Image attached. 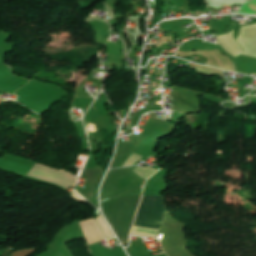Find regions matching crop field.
Segmentation results:
<instances>
[{"label":"crop field","mask_w":256,"mask_h":256,"mask_svg":"<svg viewBox=\"0 0 256 256\" xmlns=\"http://www.w3.org/2000/svg\"><path fill=\"white\" fill-rule=\"evenodd\" d=\"M140 197L141 196L119 197L116 201L110 225L122 244H128L130 227Z\"/></svg>","instance_id":"obj_1"},{"label":"crop field","mask_w":256,"mask_h":256,"mask_svg":"<svg viewBox=\"0 0 256 256\" xmlns=\"http://www.w3.org/2000/svg\"><path fill=\"white\" fill-rule=\"evenodd\" d=\"M165 210L163 197H142L140 208L135 220L136 225L159 229Z\"/></svg>","instance_id":"obj_2"}]
</instances>
